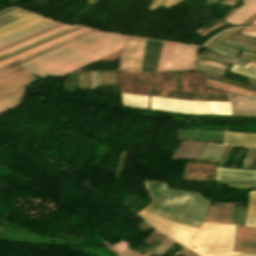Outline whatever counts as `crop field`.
<instances>
[{
    "instance_id": "obj_1",
    "label": "crop field",
    "mask_w": 256,
    "mask_h": 256,
    "mask_svg": "<svg viewBox=\"0 0 256 256\" xmlns=\"http://www.w3.org/2000/svg\"><path fill=\"white\" fill-rule=\"evenodd\" d=\"M143 182L152 200L143 210L193 234L196 233L206 211L208 204L206 198L194 192L170 189L163 181L143 180ZM143 210L138 214L180 243L187 246L194 236Z\"/></svg>"
},
{
    "instance_id": "obj_2",
    "label": "crop field",
    "mask_w": 256,
    "mask_h": 256,
    "mask_svg": "<svg viewBox=\"0 0 256 256\" xmlns=\"http://www.w3.org/2000/svg\"><path fill=\"white\" fill-rule=\"evenodd\" d=\"M121 39V35L95 32L20 65L43 77Z\"/></svg>"
},
{
    "instance_id": "obj_3",
    "label": "crop field",
    "mask_w": 256,
    "mask_h": 256,
    "mask_svg": "<svg viewBox=\"0 0 256 256\" xmlns=\"http://www.w3.org/2000/svg\"><path fill=\"white\" fill-rule=\"evenodd\" d=\"M151 108L182 113L231 114L230 102L182 101L151 96Z\"/></svg>"
},
{
    "instance_id": "obj_4",
    "label": "crop field",
    "mask_w": 256,
    "mask_h": 256,
    "mask_svg": "<svg viewBox=\"0 0 256 256\" xmlns=\"http://www.w3.org/2000/svg\"><path fill=\"white\" fill-rule=\"evenodd\" d=\"M35 80L34 76L24 70L0 81V113L20 104L24 84Z\"/></svg>"
},
{
    "instance_id": "obj_5",
    "label": "crop field",
    "mask_w": 256,
    "mask_h": 256,
    "mask_svg": "<svg viewBox=\"0 0 256 256\" xmlns=\"http://www.w3.org/2000/svg\"><path fill=\"white\" fill-rule=\"evenodd\" d=\"M145 39L125 36L118 70L140 71Z\"/></svg>"
},
{
    "instance_id": "obj_6",
    "label": "crop field",
    "mask_w": 256,
    "mask_h": 256,
    "mask_svg": "<svg viewBox=\"0 0 256 256\" xmlns=\"http://www.w3.org/2000/svg\"><path fill=\"white\" fill-rule=\"evenodd\" d=\"M197 47L176 43L173 71L193 69Z\"/></svg>"
},
{
    "instance_id": "obj_7",
    "label": "crop field",
    "mask_w": 256,
    "mask_h": 256,
    "mask_svg": "<svg viewBox=\"0 0 256 256\" xmlns=\"http://www.w3.org/2000/svg\"><path fill=\"white\" fill-rule=\"evenodd\" d=\"M234 251L256 253V229L237 226Z\"/></svg>"
},
{
    "instance_id": "obj_8",
    "label": "crop field",
    "mask_w": 256,
    "mask_h": 256,
    "mask_svg": "<svg viewBox=\"0 0 256 256\" xmlns=\"http://www.w3.org/2000/svg\"><path fill=\"white\" fill-rule=\"evenodd\" d=\"M121 43H122V40L113 44V45H111V46H109V47H107V48H105V49H102V50H100V51H98V52H96V53H94V54H92V55H90L86 58H83V59H81V60H79V61H77V62H75V63H73L69 66H66V67H64V68H62V69H60V70H58V71H56V72H54L50 75L61 76L65 73H67V72H70V71L75 70L79 67H82V66L87 65L91 62H94V61L112 53L113 51L121 48Z\"/></svg>"
},
{
    "instance_id": "obj_9",
    "label": "crop field",
    "mask_w": 256,
    "mask_h": 256,
    "mask_svg": "<svg viewBox=\"0 0 256 256\" xmlns=\"http://www.w3.org/2000/svg\"><path fill=\"white\" fill-rule=\"evenodd\" d=\"M233 205L234 203H218L211 205L207 210L204 221L230 224Z\"/></svg>"
},
{
    "instance_id": "obj_10",
    "label": "crop field",
    "mask_w": 256,
    "mask_h": 256,
    "mask_svg": "<svg viewBox=\"0 0 256 256\" xmlns=\"http://www.w3.org/2000/svg\"><path fill=\"white\" fill-rule=\"evenodd\" d=\"M216 180L250 181L256 180V171L248 169H227L217 167Z\"/></svg>"
},
{
    "instance_id": "obj_11",
    "label": "crop field",
    "mask_w": 256,
    "mask_h": 256,
    "mask_svg": "<svg viewBox=\"0 0 256 256\" xmlns=\"http://www.w3.org/2000/svg\"><path fill=\"white\" fill-rule=\"evenodd\" d=\"M230 93V92H229ZM230 93L233 114H255L256 106L252 96H240Z\"/></svg>"
},
{
    "instance_id": "obj_12",
    "label": "crop field",
    "mask_w": 256,
    "mask_h": 256,
    "mask_svg": "<svg viewBox=\"0 0 256 256\" xmlns=\"http://www.w3.org/2000/svg\"><path fill=\"white\" fill-rule=\"evenodd\" d=\"M175 43L161 41L155 71L171 69Z\"/></svg>"
},
{
    "instance_id": "obj_13",
    "label": "crop field",
    "mask_w": 256,
    "mask_h": 256,
    "mask_svg": "<svg viewBox=\"0 0 256 256\" xmlns=\"http://www.w3.org/2000/svg\"><path fill=\"white\" fill-rule=\"evenodd\" d=\"M223 144L256 147V133H234L224 131Z\"/></svg>"
},
{
    "instance_id": "obj_14",
    "label": "crop field",
    "mask_w": 256,
    "mask_h": 256,
    "mask_svg": "<svg viewBox=\"0 0 256 256\" xmlns=\"http://www.w3.org/2000/svg\"><path fill=\"white\" fill-rule=\"evenodd\" d=\"M205 143L197 141H181L179 148L171 158H190L194 159ZM170 158V159H171Z\"/></svg>"
},
{
    "instance_id": "obj_15",
    "label": "crop field",
    "mask_w": 256,
    "mask_h": 256,
    "mask_svg": "<svg viewBox=\"0 0 256 256\" xmlns=\"http://www.w3.org/2000/svg\"><path fill=\"white\" fill-rule=\"evenodd\" d=\"M256 12V0H250L235 13H233L226 21L232 24H238L245 21L249 16Z\"/></svg>"
},
{
    "instance_id": "obj_16",
    "label": "crop field",
    "mask_w": 256,
    "mask_h": 256,
    "mask_svg": "<svg viewBox=\"0 0 256 256\" xmlns=\"http://www.w3.org/2000/svg\"><path fill=\"white\" fill-rule=\"evenodd\" d=\"M87 30H89V29H87V28H82V29H80V30H78V31H75V32L70 33V34H68V35H65V36H63V37L60 36L61 38H58V39L55 38L56 40H53V41H51V42H48V43H46V44H43V45L38 46V47H36V48H33V49L29 50V51H26V52H24V53H21V54H19V55H16V56L11 57V58H9V59H6V60H4V61H1V62H0V66L3 65V64H6V63H8V62H11V61H13V60H16V59H18V58H21V57H23V56H25V55H28V54H30V53H33V52H35V51H38V50H40V49H43V48H45V47H48V46H50V45H53V44H55V43H58V42H60V41H63V40H65V39H67V38H70V37H72V36H75V35H77V34H80V33L84 32V31H87Z\"/></svg>"
},
{
    "instance_id": "obj_17",
    "label": "crop field",
    "mask_w": 256,
    "mask_h": 256,
    "mask_svg": "<svg viewBox=\"0 0 256 256\" xmlns=\"http://www.w3.org/2000/svg\"><path fill=\"white\" fill-rule=\"evenodd\" d=\"M122 105L147 109V96L121 93Z\"/></svg>"
},
{
    "instance_id": "obj_18",
    "label": "crop field",
    "mask_w": 256,
    "mask_h": 256,
    "mask_svg": "<svg viewBox=\"0 0 256 256\" xmlns=\"http://www.w3.org/2000/svg\"><path fill=\"white\" fill-rule=\"evenodd\" d=\"M215 146H216V144H206V146L202 150L201 154L199 155L198 159L207 160L208 156L210 155L211 151L213 150V148ZM224 147L225 146L217 145L208 160L218 162Z\"/></svg>"
},
{
    "instance_id": "obj_19",
    "label": "crop field",
    "mask_w": 256,
    "mask_h": 256,
    "mask_svg": "<svg viewBox=\"0 0 256 256\" xmlns=\"http://www.w3.org/2000/svg\"><path fill=\"white\" fill-rule=\"evenodd\" d=\"M246 226L256 227V191H250Z\"/></svg>"
},
{
    "instance_id": "obj_20",
    "label": "crop field",
    "mask_w": 256,
    "mask_h": 256,
    "mask_svg": "<svg viewBox=\"0 0 256 256\" xmlns=\"http://www.w3.org/2000/svg\"><path fill=\"white\" fill-rule=\"evenodd\" d=\"M40 18H42V17L34 15V14H32L30 16H27V17H25L23 19H20L18 21H15L13 23H10V24H8L6 26L1 27L0 28V34H3L5 32H8L10 30H13V29H15L17 27H20L22 25H25L27 23H30V22L35 21V20L40 19Z\"/></svg>"
},
{
    "instance_id": "obj_21",
    "label": "crop field",
    "mask_w": 256,
    "mask_h": 256,
    "mask_svg": "<svg viewBox=\"0 0 256 256\" xmlns=\"http://www.w3.org/2000/svg\"><path fill=\"white\" fill-rule=\"evenodd\" d=\"M30 14H32V13L16 9L14 11H11L7 14L0 16V26H3L5 24H8L15 20H18V19L25 17L27 15H30Z\"/></svg>"
},
{
    "instance_id": "obj_22",
    "label": "crop field",
    "mask_w": 256,
    "mask_h": 256,
    "mask_svg": "<svg viewBox=\"0 0 256 256\" xmlns=\"http://www.w3.org/2000/svg\"><path fill=\"white\" fill-rule=\"evenodd\" d=\"M206 82H207L208 86H212V87H215V88H218V89H222V90H226V91H230V92H234V93H238V94H244V95H255L256 94L255 92H252V91L235 88V87H232V86H228V85L218 83V82H214V81L207 80V79H206Z\"/></svg>"
},
{
    "instance_id": "obj_23",
    "label": "crop field",
    "mask_w": 256,
    "mask_h": 256,
    "mask_svg": "<svg viewBox=\"0 0 256 256\" xmlns=\"http://www.w3.org/2000/svg\"><path fill=\"white\" fill-rule=\"evenodd\" d=\"M56 23H57V22L50 21V22H48V23H45V24H43V25H40V26H38V27H35V28H33V29H30V30H28V31H25V32H23V33H20V34H18V35H15V36H13V37H10V38H8V39H5V40H3V41H0V46L5 45V44H7V43H10V42H12V41H15V40H17V39H19V38H22V37H24V36H27V35H29V34H32V33L36 32V31H39V30H41V29H44V28L49 27V26H51V25H53V24H56Z\"/></svg>"
},
{
    "instance_id": "obj_24",
    "label": "crop field",
    "mask_w": 256,
    "mask_h": 256,
    "mask_svg": "<svg viewBox=\"0 0 256 256\" xmlns=\"http://www.w3.org/2000/svg\"><path fill=\"white\" fill-rule=\"evenodd\" d=\"M48 21H50V20L45 19V18H42V19L37 20V21H35V22H33V23H30V24H28V25H25V26H23V27H20V28L15 29V30H13V31H11V32H8V33H6V34L1 35V36H0V40H3V39H5V38H8V37H10V36H13V35H15V34H18V33H20V32H23V31H25V30H28V29H30V28H33V27H35V26H38V25L43 24V23L48 22Z\"/></svg>"
},
{
    "instance_id": "obj_25",
    "label": "crop field",
    "mask_w": 256,
    "mask_h": 256,
    "mask_svg": "<svg viewBox=\"0 0 256 256\" xmlns=\"http://www.w3.org/2000/svg\"><path fill=\"white\" fill-rule=\"evenodd\" d=\"M68 27H70V26H69V25H64V26H62V27H59V28H57V29H55V30H52V31H50V32H47V33H45V34H43V35H40V36L35 37V38H33V39H30V40H28V41H26V42H23V43H21V44H18V45H16V46H13V47H11V48H9V49H6V50H4V51H1V52H0V55H1V54H4V53H6V52H9V51H11V50H14V49H16V48H19V47H21V46H24V45H26V44H28V43L33 42V41H36V40H38V39H41V38H43V37H46V36H48V35H51V34H53V33H56V32H58V31H60V30H63V29H65V28H68Z\"/></svg>"
},
{
    "instance_id": "obj_26",
    "label": "crop field",
    "mask_w": 256,
    "mask_h": 256,
    "mask_svg": "<svg viewBox=\"0 0 256 256\" xmlns=\"http://www.w3.org/2000/svg\"><path fill=\"white\" fill-rule=\"evenodd\" d=\"M62 25H64V24L58 23V24L53 25V26H51V27H49V28H46V29L41 30V31H39V32H36V33H34V34H32V35H29V36H27V37H24V38H22V39H19V40L15 41V42H12V43H10V44H7V45H5V46H2V47H0V51H1V50H4V49H6V48H9V47H11V46H13V45H16V44H18V43H21V42H23V41H26V40H28V39H30V38H33V37H35V36H38V35H40V34H43V33L47 32V31L52 30V29H55V28H57V27H59V26H62Z\"/></svg>"
},
{
    "instance_id": "obj_27",
    "label": "crop field",
    "mask_w": 256,
    "mask_h": 256,
    "mask_svg": "<svg viewBox=\"0 0 256 256\" xmlns=\"http://www.w3.org/2000/svg\"><path fill=\"white\" fill-rule=\"evenodd\" d=\"M246 66H248V65H246ZM248 67H251V66H248ZM251 68L256 69L255 67H251ZM231 71H234V72H237V73H240V74H243V75H246V76L256 79V70H253V69H250L247 67H243L241 65H233V67L231 68Z\"/></svg>"
},
{
    "instance_id": "obj_28",
    "label": "crop field",
    "mask_w": 256,
    "mask_h": 256,
    "mask_svg": "<svg viewBox=\"0 0 256 256\" xmlns=\"http://www.w3.org/2000/svg\"><path fill=\"white\" fill-rule=\"evenodd\" d=\"M179 1L180 0H153L149 9L155 10L159 6L170 7V6L178 3Z\"/></svg>"
},
{
    "instance_id": "obj_29",
    "label": "crop field",
    "mask_w": 256,
    "mask_h": 256,
    "mask_svg": "<svg viewBox=\"0 0 256 256\" xmlns=\"http://www.w3.org/2000/svg\"><path fill=\"white\" fill-rule=\"evenodd\" d=\"M94 31H95V30H93V31H91V32H89V33H86V34H84V35H81V36H79V37H76V38H74V39L83 37V36H85V35H87V34H90V33L94 32ZM74 39H71V40H74ZM71 40H69V41H71ZM69 41H67V42H69ZM67 42H64V43H62V44H59V45H57V46H54V47H52V48H49V49H47V50H44V51L39 52V53H37V54H34V55H32V56H29V57H27V58H25V59H22V60H20V61H17V62H15V63H12V64L7 65V66H5V67H2V68H0V70H2V69H4V68H7V67H10V66H12V65H15V64H17V63H20V62H22V61L28 60V59H30V58H33V57H35V56H38V55H40V54H42V53H45V52H47V51H49V50H51V49H54V48H56V47H58V46H61V45L65 44V43H67Z\"/></svg>"
},
{
    "instance_id": "obj_30",
    "label": "crop field",
    "mask_w": 256,
    "mask_h": 256,
    "mask_svg": "<svg viewBox=\"0 0 256 256\" xmlns=\"http://www.w3.org/2000/svg\"><path fill=\"white\" fill-rule=\"evenodd\" d=\"M22 70H24V69L21 68L20 66L16 65V66H14V67H12V68H9V69H7V70H4V71L0 72V79H3V78H5V77H8V76H10V75H12V74H15V73H17V72H20V71H22Z\"/></svg>"
},
{
    "instance_id": "obj_31",
    "label": "crop field",
    "mask_w": 256,
    "mask_h": 256,
    "mask_svg": "<svg viewBox=\"0 0 256 256\" xmlns=\"http://www.w3.org/2000/svg\"><path fill=\"white\" fill-rule=\"evenodd\" d=\"M173 242H174V241H172V240H170V239L167 238V239L154 251V253H156V254H158L159 256H161Z\"/></svg>"
},
{
    "instance_id": "obj_32",
    "label": "crop field",
    "mask_w": 256,
    "mask_h": 256,
    "mask_svg": "<svg viewBox=\"0 0 256 256\" xmlns=\"http://www.w3.org/2000/svg\"><path fill=\"white\" fill-rule=\"evenodd\" d=\"M73 28H75V26L70 27V28H68V29H65V30H63V31H60V32H58V33H56V34H53V35L48 36V37H46V38H43V39H41V40H38V41H36V42H33V43H31V44H28V45H26V46H24V47H21V48H19V49H16V50L11 51V52H9V53H6V54H4V55H1L0 58H1V57H4V56H6V55H9V54H11V53H14V52H16V51H18V50H21V49H23V48H26V47H28V46H31V45H33V44H36V43H38V42H41V41H43V40H46V39H48V38H51V37H53V36H56V35H58V34H60V33H63V32H65V31H68V30L73 29Z\"/></svg>"
},
{
    "instance_id": "obj_33",
    "label": "crop field",
    "mask_w": 256,
    "mask_h": 256,
    "mask_svg": "<svg viewBox=\"0 0 256 256\" xmlns=\"http://www.w3.org/2000/svg\"><path fill=\"white\" fill-rule=\"evenodd\" d=\"M106 84L116 82L115 72L104 71Z\"/></svg>"
},
{
    "instance_id": "obj_34",
    "label": "crop field",
    "mask_w": 256,
    "mask_h": 256,
    "mask_svg": "<svg viewBox=\"0 0 256 256\" xmlns=\"http://www.w3.org/2000/svg\"><path fill=\"white\" fill-rule=\"evenodd\" d=\"M196 68L197 69H203V70H210V71L216 72V73L221 74V75L224 72V70L217 69V68L212 67V66H206V65H196Z\"/></svg>"
},
{
    "instance_id": "obj_35",
    "label": "crop field",
    "mask_w": 256,
    "mask_h": 256,
    "mask_svg": "<svg viewBox=\"0 0 256 256\" xmlns=\"http://www.w3.org/2000/svg\"><path fill=\"white\" fill-rule=\"evenodd\" d=\"M197 63L200 64H207V65H213V66H217L219 68H223L225 69L226 65L222 64V63H218V62H213V61H207V60H198Z\"/></svg>"
},
{
    "instance_id": "obj_36",
    "label": "crop field",
    "mask_w": 256,
    "mask_h": 256,
    "mask_svg": "<svg viewBox=\"0 0 256 256\" xmlns=\"http://www.w3.org/2000/svg\"><path fill=\"white\" fill-rule=\"evenodd\" d=\"M211 50L216 51V52L221 53V54L229 55V56H232V57H235V55H236V54H234V53L225 51V50L220 49V48H217V47H215V46L211 47ZM236 58H237V57H236ZM239 59H241V58H239ZM243 60H245V59H243ZM246 61H248V60H246Z\"/></svg>"
},
{
    "instance_id": "obj_37",
    "label": "crop field",
    "mask_w": 256,
    "mask_h": 256,
    "mask_svg": "<svg viewBox=\"0 0 256 256\" xmlns=\"http://www.w3.org/2000/svg\"><path fill=\"white\" fill-rule=\"evenodd\" d=\"M157 230H154L148 237H147V239L144 241V242H147L150 238H151V236L156 232ZM159 232L157 231L154 235H153V237L148 241V243L158 234ZM159 235H160V233L150 242V244H152L158 237H159Z\"/></svg>"
},
{
    "instance_id": "obj_38",
    "label": "crop field",
    "mask_w": 256,
    "mask_h": 256,
    "mask_svg": "<svg viewBox=\"0 0 256 256\" xmlns=\"http://www.w3.org/2000/svg\"><path fill=\"white\" fill-rule=\"evenodd\" d=\"M250 150H251V148H249V152H248V154H247V156H246V158H245V161H244V165H243V167H246L247 160H248V157H249V155H250ZM253 151H254V148H252V151H251V155H250V157H249V161H248L247 168H249V165H250V161H251V158H252Z\"/></svg>"
},
{
    "instance_id": "obj_39",
    "label": "crop field",
    "mask_w": 256,
    "mask_h": 256,
    "mask_svg": "<svg viewBox=\"0 0 256 256\" xmlns=\"http://www.w3.org/2000/svg\"><path fill=\"white\" fill-rule=\"evenodd\" d=\"M179 254L182 256H197L195 255L191 250L185 248L183 251H181Z\"/></svg>"
},
{
    "instance_id": "obj_40",
    "label": "crop field",
    "mask_w": 256,
    "mask_h": 256,
    "mask_svg": "<svg viewBox=\"0 0 256 256\" xmlns=\"http://www.w3.org/2000/svg\"><path fill=\"white\" fill-rule=\"evenodd\" d=\"M234 36L256 44V41H253V40L248 39V38H246V37L240 36V35H238V34H235ZM234 36H232V37H234ZM236 37H234V38H236ZM238 38H237V39H238ZM241 39H239V40H241ZM244 40H242V41H244ZM246 41H244V42H246ZM249 42H247V43H249ZM252 43H249V44H252ZM254 44H252V45H254ZM254 46H256V45H254Z\"/></svg>"
},
{
    "instance_id": "obj_41",
    "label": "crop field",
    "mask_w": 256,
    "mask_h": 256,
    "mask_svg": "<svg viewBox=\"0 0 256 256\" xmlns=\"http://www.w3.org/2000/svg\"><path fill=\"white\" fill-rule=\"evenodd\" d=\"M94 76H95V85L98 86L97 76H96V72L95 71H94ZM95 85H94L93 71H91V88H94Z\"/></svg>"
},
{
    "instance_id": "obj_42",
    "label": "crop field",
    "mask_w": 256,
    "mask_h": 256,
    "mask_svg": "<svg viewBox=\"0 0 256 256\" xmlns=\"http://www.w3.org/2000/svg\"><path fill=\"white\" fill-rule=\"evenodd\" d=\"M207 54H209V55H211V56H214V57H217V58H219V59H224V58H222V57H218V56H215V55H212V54H210V53H208V52H206ZM206 54V55H207ZM224 61H226V62H231V63H238V64H242V65H244V63H240V62H236V61H232V60H230V59H227V58H225L224 59Z\"/></svg>"
},
{
    "instance_id": "obj_43",
    "label": "crop field",
    "mask_w": 256,
    "mask_h": 256,
    "mask_svg": "<svg viewBox=\"0 0 256 256\" xmlns=\"http://www.w3.org/2000/svg\"><path fill=\"white\" fill-rule=\"evenodd\" d=\"M215 46L220 47V48H223V49H226V50H230V51H235V52H237L236 50H234V49H232V48H229V47H226V46H223V45H220V44H216Z\"/></svg>"
},
{
    "instance_id": "obj_44",
    "label": "crop field",
    "mask_w": 256,
    "mask_h": 256,
    "mask_svg": "<svg viewBox=\"0 0 256 256\" xmlns=\"http://www.w3.org/2000/svg\"><path fill=\"white\" fill-rule=\"evenodd\" d=\"M252 30H256V26L249 27V28L245 29V30L242 31V32H245V31H252Z\"/></svg>"
},
{
    "instance_id": "obj_45",
    "label": "crop field",
    "mask_w": 256,
    "mask_h": 256,
    "mask_svg": "<svg viewBox=\"0 0 256 256\" xmlns=\"http://www.w3.org/2000/svg\"><path fill=\"white\" fill-rule=\"evenodd\" d=\"M210 51V50H209ZM210 52H213V51H210ZM214 53V52H213ZM215 54H217V53H215ZM217 55H221V54H217ZM221 56H224V57H227V56H225V55H221ZM227 58H230V57H227ZM230 59H233V60H236V61H241V60H238V59H234V58H230ZM242 62H244V61H242ZM246 63V62H245Z\"/></svg>"
},
{
    "instance_id": "obj_46",
    "label": "crop field",
    "mask_w": 256,
    "mask_h": 256,
    "mask_svg": "<svg viewBox=\"0 0 256 256\" xmlns=\"http://www.w3.org/2000/svg\"><path fill=\"white\" fill-rule=\"evenodd\" d=\"M240 256H256V254L241 253Z\"/></svg>"
},
{
    "instance_id": "obj_47",
    "label": "crop field",
    "mask_w": 256,
    "mask_h": 256,
    "mask_svg": "<svg viewBox=\"0 0 256 256\" xmlns=\"http://www.w3.org/2000/svg\"><path fill=\"white\" fill-rule=\"evenodd\" d=\"M248 65H252V66H255L256 67V63L255 62H249Z\"/></svg>"
},
{
    "instance_id": "obj_48",
    "label": "crop field",
    "mask_w": 256,
    "mask_h": 256,
    "mask_svg": "<svg viewBox=\"0 0 256 256\" xmlns=\"http://www.w3.org/2000/svg\"><path fill=\"white\" fill-rule=\"evenodd\" d=\"M240 57H244V58H248V59H250V60H252V61H255L256 62V59H252V58H249V57H245V56H241V55H239Z\"/></svg>"
},
{
    "instance_id": "obj_49",
    "label": "crop field",
    "mask_w": 256,
    "mask_h": 256,
    "mask_svg": "<svg viewBox=\"0 0 256 256\" xmlns=\"http://www.w3.org/2000/svg\"><path fill=\"white\" fill-rule=\"evenodd\" d=\"M242 54H246V55H249V56H253V57H256V55H253V54H249V53H245V52H242Z\"/></svg>"
},
{
    "instance_id": "obj_50",
    "label": "crop field",
    "mask_w": 256,
    "mask_h": 256,
    "mask_svg": "<svg viewBox=\"0 0 256 256\" xmlns=\"http://www.w3.org/2000/svg\"><path fill=\"white\" fill-rule=\"evenodd\" d=\"M248 0H246L245 2H243V3H246Z\"/></svg>"
},
{
    "instance_id": "obj_51",
    "label": "crop field",
    "mask_w": 256,
    "mask_h": 256,
    "mask_svg": "<svg viewBox=\"0 0 256 256\" xmlns=\"http://www.w3.org/2000/svg\"><path fill=\"white\" fill-rule=\"evenodd\" d=\"M254 97V96H253ZM254 100H255V97H254ZM255 103H256V100H255Z\"/></svg>"
},
{
    "instance_id": "obj_52",
    "label": "crop field",
    "mask_w": 256,
    "mask_h": 256,
    "mask_svg": "<svg viewBox=\"0 0 256 256\" xmlns=\"http://www.w3.org/2000/svg\"><path fill=\"white\" fill-rule=\"evenodd\" d=\"M253 23H256V20Z\"/></svg>"
},
{
    "instance_id": "obj_53",
    "label": "crop field",
    "mask_w": 256,
    "mask_h": 256,
    "mask_svg": "<svg viewBox=\"0 0 256 256\" xmlns=\"http://www.w3.org/2000/svg\"><path fill=\"white\" fill-rule=\"evenodd\" d=\"M61 43V42H60ZM56 45V44H55ZM51 47V46H50ZM39 52V51H38ZM34 54V53H33Z\"/></svg>"
},
{
    "instance_id": "obj_54",
    "label": "crop field",
    "mask_w": 256,
    "mask_h": 256,
    "mask_svg": "<svg viewBox=\"0 0 256 256\" xmlns=\"http://www.w3.org/2000/svg\"><path fill=\"white\" fill-rule=\"evenodd\" d=\"M244 1V0H243Z\"/></svg>"
},
{
    "instance_id": "obj_55",
    "label": "crop field",
    "mask_w": 256,
    "mask_h": 256,
    "mask_svg": "<svg viewBox=\"0 0 256 256\" xmlns=\"http://www.w3.org/2000/svg\"><path fill=\"white\" fill-rule=\"evenodd\" d=\"M256 97V96H255Z\"/></svg>"
}]
</instances>
